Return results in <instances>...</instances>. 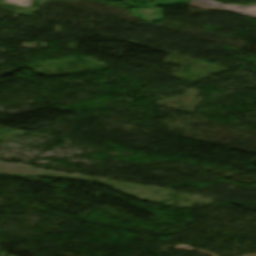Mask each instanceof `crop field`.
Wrapping results in <instances>:
<instances>
[{"label": "crop field", "instance_id": "1", "mask_svg": "<svg viewBox=\"0 0 256 256\" xmlns=\"http://www.w3.org/2000/svg\"><path fill=\"white\" fill-rule=\"evenodd\" d=\"M191 2L206 4L210 6H220V7H224L225 10L237 12L240 14H244V15H248L256 18V7L225 6L211 0H192Z\"/></svg>", "mask_w": 256, "mask_h": 256}, {"label": "crop field", "instance_id": "2", "mask_svg": "<svg viewBox=\"0 0 256 256\" xmlns=\"http://www.w3.org/2000/svg\"><path fill=\"white\" fill-rule=\"evenodd\" d=\"M5 2L20 5V6H24V7H29L32 4L33 0H5ZM25 2H27L29 4L24 5Z\"/></svg>", "mask_w": 256, "mask_h": 256}]
</instances>
